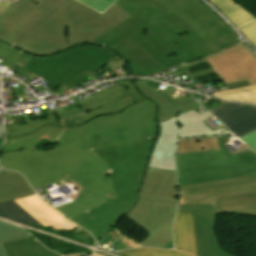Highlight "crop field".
I'll use <instances>...</instances> for the list:
<instances>
[{"mask_svg":"<svg viewBox=\"0 0 256 256\" xmlns=\"http://www.w3.org/2000/svg\"><path fill=\"white\" fill-rule=\"evenodd\" d=\"M83 138L111 170L115 197L129 209L135 204L152 145L158 134L156 105L147 99L117 115L84 124Z\"/></svg>","mask_w":256,"mask_h":256,"instance_id":"1","label":"crop field"},{"mask_svg":"<svg viewBox=\"0 0 256 256\" xmlns=\"http://www.w3.org/2000/svg\"><path fill=\"white\" fill-rule=\"evenodd\" d=\"M85 136L82 125L74 128L41 127L30 135L6 140L0 166L21 172L33 188L48 184L103 162L81 139ZM41 139L61 147L33 151Z\"/></svg>","mask_w":256,"mask_h":256,"instance_id":"2","label":"crop field"},{"mask_svg":"<svg viewBox=\"0 0 256 256\" xmlns=\"http://www.w3.org/2000/svg\"><path fill=\"white\" fill-rule=\"evenodd\" d=\"M178 204L214 203V194L256 191V151L244 145L221 151L176 154Z\"/></svg>","mask_w":256,"mask_h":256,"instance_id":"3","label":"crop field"},{"mask_svg":"<svg viewBox=\"0 0 256 256\" xmlns=\"http://www.w3.org/2000/svg\"><path fill=\"white\" fill-rule=\"evenodd\" d=\"M57 1L62 4L14 46L34 54L50 55L89 43L131 17L116 3L100 14L74 0Z\"/></svg>","mask_w":256,"mask_h":256,"instance_id":"4","label":"crop field"},{"mask_svg":"<svg viewBox=\"0 0 256 256\" xmlns=\"http://www.w3.org/2000/svg\"><path fill=\"white\" fill-rule=\"evenodd\" d=\"M116 3L184 63L214 53L189 25L154 1L118 0Z\"/></svg>","mask_w":256,"mask_h":256,"instance_id":"5","label":"crop field"},{"mask_svg":"<svg viewBox=\"0 0 256 256\" xmlns=\"http://www.w3.org/2000/svg\"><path fill=\"white\" fill-rule=\"evenodd\" d=\"M118 54L99 46L81 45L51 57L33 56L23 70L40 76L51 88L78 85Z\"/></svg>","mask_w":256,"mask_h":256,"instance_id":"6","label":"crop field"},{"mask_svg":"<svg viewBox=\"0 0 256 256\" xmlns=\"http://www.w3.org/2000/svg\"><path fill=\"white\" fill-rule=\"evenodd\" d=\"M119 87L111 88L77 105L85 112L81 115L59 120L56 114L32 121L33 124L18 128L16 123L5 125V138L29 134L40 126L52 124L58 127H73L89 122L90 119L107 114H116L135 104L144 97L134 88L131 80L114 81Z\"/></svg>","mask_w":256,"mask_h":256,"instance_id":"7","label":"crop field"},{"mask_svg":"<svg viewBox=\"0 0 256 256\" xmlns=\"http://www.w3.org/2000/svg\"><path fill=\"white\" fill-rule=\"evenodd\" d=\"M211 114L207 111L199 114L193 110L160 123V139L157 140L148 167L175 170L174 153L176 139L230 135L224 127L212 131L202 121Z\"/></svg>","mask_w":256,"mask_h":256,"instance_id":"8","label":"crop field"},{"mask_svg":"<svg viewBox=\"0 0 256 256\" xmlns=\"http://www.w3.org/2000/svg\"><path fill=\"white\" fill-rule=\"evenodd\" d=\"M154 1L188 23L214 52L240 42L221 19L199 0Z\"/></svg>","mask_w":256,"mask_h":256,"instance_id":"9","label":"crop field"},{"mask_svg":"<svg viewBox=\"0 0 256 256\" xmlns=\"http://www.w3.org/2000/svg\"><path fill=\"white\" fill-rule=\"evenodd\" d=\"M53 184H75L79 188L70 197L73 202L55 208L69 219L114 196L110 170L104 163L64 177L46 187ZM108 193H112V196L106 198Z\"/></svg>","mask_w":256,"mask_h":256,"instance_id":"10","label":"crop field"},{"mask_svg":"<svg viewBox=\"0 0 256 256\" xmlns=\"http://www.w3.org/2000/svg\"><path fill=\"white\" fill-rule=\"evenodd\" d=\"M175 212L176 203L139 199L136 207L125 217L150 234L141 244L163 248L172 241Z\"/></svg>","mask_w":256,"mask_h":256,"instance_id":"11","label":"crop field"},{"mask_svg":"<svg viewBox=\"0 0 256 256\" xmlns=\"http://www.w3.org/2000/svg\"><path fill=\"white\" fill-rule=\"evenodd\" d=\"M128 38L164 70L183 64L181 60L164 47L132 17L115 26L91 42V44H105V46L112 49Z\"/></svg>","mask_w":256,"mask_h":256,"instance_id":"12","label":"crop field"},{"mask_svg":"<svg viewBox=\"0 0 256 256\" xmlns=\"http://www.w3.org/2000/svg\"><path fill=\"white\" fill-rule=\"evenodd\" d=\"M60 4L55 0H17L0 17V40L16 44Z\"/></svg>","mask_w":256,"mask_h":256,"instance_id":"13","label":"crop field"},{"mask_svg":"<svg viewBox=\"0 0 256 256\" xmlns=\"http://www.w3.org/2000/svg\"><path fill=\"white\" fill-rule=\"evenodd\" d=\"M205 59L220 78L191 84L206 83L218 80H221L227 84L244 79H247L250 85L256 84V57L243 43L219 51L206 57ZM185 85L186 84L179 86Z\"/></svg>","mask_w":256,"mask_h":256,"instance_id":"14","label":"crop field"},{"mask_svg":"<svg viewBox=\"0 0 256 256\" xmlns=\"http://www.w3.org/2000/svg\"><path fill=\"white\" fill-rule=\"evenodd\" d=\"M178 211L192 212L197 256H233L219 245L214 204L178 205Z\"/></svg>","mask_w":256,"mask_h":256,"instance_id":"15","label":"crop field"},{"mask_svg":"<svg viewBox=\"0 0 256 256\" xmlns=\"http://www.w3.org/2000/svg\"><path fill=\"white\" fill-rule=\"evenodd\" d=\"M129 209L115 197L70 220L89 231L98 242Z\"/></svg>","mask_w":256,"mask_h":256,"instance_id":"16","label":"crop field"},{"mask_svg":"<svg viewBox=\"0 0 256 256\" xmlns=\"http://www.w3.org/2000/svg\"><path fill=\"white\" fill-rule=\"evenodd\" d=\"M209 111L238 137L256 129V106L227 102Z\"/></svg>","mask_w":256,"mask_h":256,"instance_id":"17","label":"crop field"},{"mask_svg":"<svg viewBox=\"0 0 256 256\" xmlns=\"http://www.w3.org/2000/svg\"><path fill=\"white\" fill-rule=\"evenodd\" d=\"M147 169L143 188L139 198L176 202L179 197L176 172Z\"/></svg>","mask_w":256,"mask_h":256,"instance_id":"18","label":"crop field"},{"mask_svg":"<svg viewBox=\"0 0 256 256\" xmlns=\"http://www.w3.org/2000/svg\"><path fill=\"white\" fill-rule=\"evenodd\" d=\"M138 89L142 94L154 100L158 107V122L165 121L169 118L182 114L186 111L199 107L191 96L185 98L182 102L170 98L175 89L166 88L162 94L151 90L152 87L147 86L145 81L137 80L134 81Z\"/></svg>","mask_w":256,"mask_h":256,"instance_id":"19","label":"crop field"},{"mask_svg":"<svg viewBox=\"0 0 256 256\" xmlns=\"http://www.w3.org/2000/svg\"><path fill=\"white\" fill-rule=\"evenodd\" d=\"M19 206L46 227L72 230L77 226L55 209L46 204L38 195L15 200Z\"/></svg>","mask_w":256,"mask_h":256,"instance_id":"20","label":"crop field"},{"mask_svg":"<svg viewBox=\"0 0 256 256\" xmlns=\"http://www.w3.org/2000/svg\"><path fill=\"white\" fill-rule=\"evenodd\" d=\"M256 192L215 195L216 215L230 213L256 218Z\"/></svg>","mask_w":256,"mask_h":256,"instance_id":"21","label":"crop field"},{"mask_svg":"<svg viewBox=\"0 0 256 256\" xmlns=\"http://www.w3.org/2000/svg\"><path fill=\"white\" fill-rule=\"evenodd\" d=\"M113 50L129 62L131 76H147L163 70L129 39L119 44Z\"/></svg>","mask_w":256,"mask_h":256,"instance_id":"22","label":"crop field"},{"mask_svg":"<svg viewBox=\"0 0 256 256\" xmlns=\"http://www.w3.org/2000/svg\"><path fill=\"white\" fill-rule=\"evenodd\" d=\"M34 193L23 176L0 168V202Z\"/></svg>","mask_w":256,"mask_h":256,"instance_id":"23","label":"crop field"},{"mask_svg":"<svg viewBox=\"0 0 256 256\" xmlns=\"http://www.w3.org/2000/svg\"><path fill=\"white\" fill-rule=\"evenodd\" d=\"M176 250L196 256L191 213L178 212L173 226Z\"/></svg>","mask_w":256,"mask_h":256,"instance_id":"24","label":"crop field"},{"mask_svg":"<svg viewBox=\"0 0 256 256\" xmlns=\"http://www.w3.org/2000/svg\"><path fill=\"white\" fill-rule=\"evenodd\" d=\"M2 244L7 256H59L34 238L13 240Z\"/></svg>","mask_w":256,"mask_h":256,"instance_id":"25","label":"crop field"},{"mask_svg":"<svg viewBox=\"0 0 256 256\" xmlns=\"http://www.w3.org/2000/svg\"><path fill=\"white\" fill-rule=\"evenodd\" d=\"M214 4L236 27H240L255 18L240 8L232 0H209Z\"/></svg>","mask_w":256,"mask_h":256,"instance_id":"26","label":"crop field"},{"mask_svg":"<svg viewBox=\"0 0 256 256\" xmlns=\"http://www.w3.org/2000/svg\"><path fill=\"white\" fill-rule=\"evenodd\" d=\"M220 150L217 137L187 139L178 141V152H198Z\"/></svg>","mask_w":256,"mask_h":256,"instance_id":"27","label":"crop field"},{"mask_svg":"<svg viewBox=\"0 0 256 256\" xmlns=\"http://www.w3.org/2000/svg\"><path fill=\"white\" fill-rule=\"evenodd\" d=\"M0 214L21 223L43 226L13 201L1 203Z\"/></svg>","mask_w":256,"mask_h":256,"instance_id":"28","label":"crop field"},{"mask_svg":"<svg viewBox=\"0 0 256 256\" xmlns=\"http://www.w3.org/2000/svg\"><path fill=\"white\" fill-rule=\"evenodd\" d=\"M212 96L234 101L256 103V85L246 88L233 89L225 92H219L215 93Z\"/></svg>","mask_w":256,"mask_h":256,"instance_id":"29","label":"crop field"},{"mask_svg":"<svg viewBox=\"0 0 256 256\" xmlns=\"http://www.w3.org/2000/svg\"><path fill=\"white\" fill-rule=\"evenodd\" d=\"M28 232L17 226L0 221V256H6L1 242L28 237Z\"/></svg>","mask_w":256,"mask_h":256,"instance_id":"30","label":"crop field"},{"mask_svg":"<svg viewBox=\"0 0 256 256\" xmlns=\"http://www.w3.org/2000/svg\"><path fill=\"white\" fill-rule=\"evenodd\" d=\"M124 256H191L176 250H164L156 248H141L117 252Z\"/></svg>","mask_w":256,"mask_h":256,"instance_id":"31","label":"crop field"},{"mask_svg":"<svg viewBox=\"0 0 256 256\" xmlns=\"http://www.w3.org/2000/svg\"><path fill=\"white\" fill-rule=\"evenodd\" d=\"M31 57V55L24 52L19 53V50L15 48L12 49L0 42V59L2 61L0 65L9 67L16 58L28 62Z\"/></svg>","mask_w":256,"mask_h":256,"instance_id":"32","label":"crop field"},{"mask_svg":"<svg viewBox=\"0 0 256 256\" xmlns=\"http://www.w3.org/2000/svg\"><path fill=\"white\" fill-rule=\"evenodd\" d=\"M88 6L94 8L99 12H103L107 7H109L115 0H79Z\"/></svg>","mask_w":256,"mask_h":256,"instance_id":"33","label":"crop field"},{"mask_svg":"<svg viewBox=\"0 0 256 256\" xmlns=\"http://www.w3.org/2000/svg\"><path fill=\"white\" fill-rule=\"evenodd\" d=\"M239 30L256 46V21L239 28Z\"/></svg>","mask_w":256,"mask_h":256,"instance_id":"34","label":"crop field"},{"mask_svg":"<svg viewBox=\"0 0 256 256\" xmlns=\"http://www.w3.org/2000/svg\"><path fill=\"white\" fill-rule=\"evenodd\" d=\"M240 139L256 149V130L240 137Z\"/></svg>","mask_w":256,"mask_h":256,"instance_id":"35","label":"crop field"},{"mask_svg":"<svg viewBox=\"0 0 256 256\" xmlns=\"http://www.w3.org/2000/svg\"><path fill=\"white\" fill-rule=\"evenodd\" d=\"M203 63H206L204 58H202V59H200L198 61L191 62V63L186 64V65L178 66V67L175 68L176 70H174V71L175 72H179V71H182V70H185V69H188V68H191V67L203 64ZM170 70L172 71V69H170Z\"/></svg>","mask_w":256,"mask_h":256,"instance_id":"36","label":"crop field"},{"mask_svg":"<svg viewBox=\"0 0 256 256\" xmlns=\"http://www.w3.org/2000/svg\"><path fill=\"white\" fill-rule=\"evenodd\" d=\"M211 74H215V72L213 71L212 68L206 69V70H203L200 72L192 73L190 75L193 79H195V78H199V77H203V76H207V75H211Z\"/></svg>","mask_w":256,"mask_h":256,"instance_id":"37","label":"crop field"},{"mask_svg":"<svg viewBox=\"0 0 256 256\" xmlns=\"http://www.w3.org/2000/svg\"><path fill=\"white\" fill-rule=\"evenodd\" d=\"M13 4V2L7 1L4 2L2 1L0 3V16Z\"/></svg>","mask_w":256,"mask_h":256,"instance_id":"38","label":"crop field"},{"mask_svg":"<svg viewBox=\"0 0 256 256\" xmlns=\"http://www.w3.org/2000/svg\"><path fill=\"white\" fill-rule=\"evenodd\" d=\"M218 139H219V143H220V148L222 149V148H223L222 145H224L225 143H227V142H228V139H227V137H218Z\"/></svg>","mask_w":256,"mask_h":256,"instance_id":"39","label":"crop field"},{"mask_svg":"<svg viewBox=\"0 0 256 256\" xmlns=\"http://www.w3.org/2000/svg\"><path fill=\"white\" fill-rule=\"evenodd\" d=\"M0 139H3V136H2V125H0Z\"/></svg>","mask_w":256,"mask_h":256,"instance_id":"40","label":"crop field"},{"mask_svg":"<svg viewBox=\"0 0 256 256\" xmlns=\"http://www.w3.org/2000/svg\"><path fill=\"white\" fill-rule=\"evenodd\" d=\"M3 144V140H0V148L2 147Z\"/></svg>","mask_w":256,"mask_h":256,"instance_id":"41","label":"crop field"},{"mask_svg":"<svg viewBox=\"0 0 256 256\" xmlns=\"http://www.w3.org/2000/svg\"><path fill=\"white\" fill-rule=\"evenodd\" d=\"M93 256H101V255H98V254H93Z\"/></svg>","mask_w":256,"mask_h":256,"instance_id":"42","label":"crop field"},{"mask_svg":"<svg viewBox=\"0 0 256 256\" xmlns=\"http://www.w3.org/2000/svg\"><path fill=\"white\" fill-rule=\"evenodd\" d=\"M74 256H80V255H74Z\"/></svg>","mask_w":256,"mask_h":256,"instance_id":"43","label":"crop field"}]
</instances>
